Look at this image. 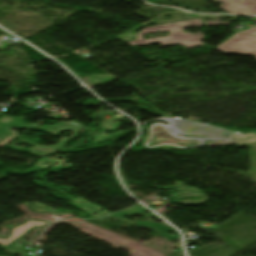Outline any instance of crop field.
<instances>
[{
    "label": "crop field",
    "mask_w": 256,
    "mask_h": 256,
    "mask_svg": "<svg viewBox=\"0 0 256 256\" xmlns=\"http://www.w3.org/2000/svg\"><path fill=\"white\" fill-rule=\"evenodd\" d=\"M201 25H203L202 20L198 19V20L145 28L144 30H142L140 33L137 34L136 40L128 41V44L129 46L131 45L145 46V45L161 43L163 47L180 45L187 49L205 46V44L200 42L206 39L202 33L184 34L182 30L185 28L196 27ZM163 31L169 32L170 35L164 38L144 40V35L163 32Z\"/></svg>",
    "instance_id": "8a807250"
},
{
    "label": "crop field",
    "mask_w": 256,
    "mask_h": 256,
    "mask_svg": "<svg viewBox=\"0 0 256 256\" xmlns=\"http://www.w3.org/2000/svg\"><path fill=\"white\" fill-rule=\"evenodd\" d=\"M243 34L256 35V27L240 32ZM236 34L217 49L229 50L230 54H242L256 56V36Z\"/></svg>",
    "instance_id": "ac0d7876"
},
{
    "label": "crop field",
    "mask_w": 256,
    "mask_h": 256,
    "mask_svg": "<svg viewBox=\"0 0 256 256\" xmlns=\"http://www.w3.org/2000/svg\"><path fill=\"white\" fill-rule=\"evenodd\" d=\"M145 212H148V211H146L142 207L135 206V207H132L130 209H127V210L121 211L119 213H116L114 215H111L108 218L122 220L121 218L126 216V215L133 216V215L138 214V215L142 216V215H144ZM123 221H125V220H123ZM136 223H139L137 225L138 227H143V228L154 230L157 233L158 236H165L169 240L176 239L178 237L177 233L175 231H173L171 228H169L167 226H164L160 223H153V222H148V221H144V222L136 221ZM169 231L175 233L176 236H171L170 234H168L167 232H169Z\"/></svg>",
    "instance_id": "34b2d1b8"
},
{
    "label": "crop field",
    "mask_w": 256,
    "mask_h": 256,
    "mask_svg": "<svg viewBox=\"0 0 256 256\" xmlns=\"http://www.w3.org/2000/svg\"><path fill=\"white\" fill-rule=\"evenodd\" d=\"M223 3L222 10L232 14H256V0H217Z\"/></svg>",
    "instance_id": "412701ff"
},
{
    "label": "crop field",
    "mask_w": 256,
    "mask_h": 256,
    "mask_svg": "<svg viewBox=\"0 0 256 256\" xmlns=\"http://www.w3.org/2000/svg\"><path fill=\"white\" fill-rule=\"evenodd\" d=\"M47 224L48 223H46V222H39V221L29 220L24 225H21V226H18L16 228L12 229L11 237L8 238L7 240L0 239V244L7 247L12 242H14L17 238H19L21 235H23L25 232L30 230L32 227H34V226L42 227V226H45Z\"/></svg>",
    "instance_id": "f4fd0767"
},
{
    "label": "crop field",
    "mask_w": 256,
    "mask_h": 256,
    "mask_svg": "<svg viewBox=\"0 0 256 256\" xmlns=\"http://www.w3.org/2000/svg\"><path fill=\"white\" fill-rule=\"evenodd\" d=\"M33 124H29L28 126H26L25 128H13V129H23V130H27L30 126H32ZM10 127H0V148H2L5 144H7L8 142H10L11 140H13L14 138H16L17 134H15L14 132L10 131Z\"/></svg>",
    "instance_id": "dd49c442"
},
{
    "label": "crop field",
    "mask_w": 256,
    "mask_h": 256,
    "mask_svg": "<svg viewBox=\"0 0 256 256\" xmlns=\"http://www.w3.org/2000/svg\"><path fill=\"white\" fill-rule=\"evenodd\" d=\"M24 119L25 118L2 116L0 118V126L25 127ZM13 122H16V124H13Z\"/></svg>",
    "instance_id": "e52e79f7"
},
{
    "label": "crop field",
    "mask_w": 256,
    "mask_h": 256,
    "mask_svg": "<svg viewBox=\"0 0 256 256\" xmlns=\"http://www.w3.org/2000/svg\"><path fill=\"white\" fill-rule=\"evenodd\" d=\"M207 25H230L229 22L205 21Z\"/></svg>",
    "instance_id": "d8731c3e"
}]
</instances>
